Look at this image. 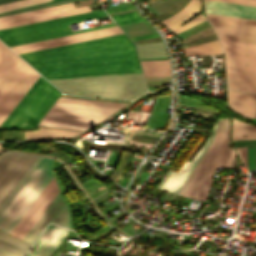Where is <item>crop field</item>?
<instances>
[{
  "instance_id": "35",
  "label": "crop field",
  "mask_w": 256,
  "mask_h": 256,
  "mask_svg": "<svg viewBox=\"0 0 256 256\" xmlns=\"http://www.w3.org/2000/svg\"><path fill=\"white\" fill-rule=\"evenodd\" d=\"M235 157H236V153H235L234 150H232V154H231V157H230L229 164H228L227 168L233 169L234 163H235Z\"/></svg>"
},
{
  "instance_id": "34",
  "label": "crop field",
  "mask_w": 256,
  "mask_h": 256,
  "mask_svg": "<svg viewBox=\"0 0 256 256\" xmlns=\"http://www.w3.org/2000/svg\"><path fill=\"white\" fill-rule=\"evenodd\" d=\"M214 1L256 6V0H214Z\"/></svg>"
},
{
  "instance_id": "36",
  "label": "crop field",
  "mask_w": 256,
  "mask_h": 256,
  "mask_svg": "<svg viewBox=\"0 0 256 256\" xmlns=\"http://www.w3.org/2000/svg\"><path fill=\"white\" fill-rule=\"evenodd\" d=\"M157 36H159V35L155 34V35H148V36H139V37H133V38H131V40L142 39V38H150V37H157Z\"/></svg>"
},
{
  "instance_id": "6",
  "label": "crop field",
  "mask_w": 256,
  "mask_h": 256,
  "mask_svg": "<svg viewBox=\"0 0 256 256\" xmlns=\"http://www.w3.org/2000/svg\"><path fill=\"white\" fill-rule=\"evenodd\" d=\"M59 94L58 90L40 76L1 128H33Z\"/></svg>"
},
{
  "instance_id": "30",
  "label": "crop field",
  "mask_w": 256,
  "mask_h": 256,
  "mask_svg": "<svg viewBox=\"0 0 256 256\" xmlns=\"http://www.w3.org/2000/svg\"><path fill=\"white\" fill-rule=\"evenodd\" d=\"M41 158H42L41 156L37 157V159L34 161V163L31 165V167L28 169V171L24 174V176L21 178V180L15 186V188L11 191V193L8 195V197L5 199V201L0 206V212L5 207V205L8 203V201L12 198V196L15 194V192L18 190V188L21 186V184L25 181V179L28 177V175L31 173V171L35 168V166L38 164V162L41 160Z\"/></svg>"
},
{
  "instance_id": "2",
  "label": "crop field",
  "mask_w": 256,
  "mask_h": 256,
  "mask_svg": "<svg viewBox=\"0 0 256 256\" xmlns=\"http://www.w3.org/2000/svg\"><path fill=\"white\" fill-rule=\"evenodd\" d=\"M66 94L132 99L146 91L141 73L48 80Z\"/></svg>"
},
{
  "instance_id": "19",
  "label": "crop field",
  "mask_w": 256,
  "mask_h": 256,
  "mask_svg": "<svg viewBox=\"0 0 256 256\" xmlns=\"http://www.w3.org/2000/svg\"><path fill=\"white\" fill-rule=\"evenodd\" d=\"M207 12L256 19V7L206 1Z\"/></svg>"
},
{
  "instance_id": "23",
  "label": "crop field",
  "mask_w": 256,
  "mask_h": 256,
  "mask_svg": "<svg viewBox=\"0 0 256 256\" xmlns=\"http://www.w3.org/2000/svg\"><path fill=\"white\" fill-rule=\"evenodd\" d=\"M79 133L81 132L40 127L39 130L25 131V139L36 138V137H71Z\"/></svg>"
},
{
  "instance_id": "22",
  "label": "crop field",
  "mask_w": 256,
  "mask_h": 256,
  "mask_svg": "<svg viewBox=\"0 0 256 256\" xmlns=\"http://www.w3.org/2000/svg\"><path fill=\"white\" fill-rule=\"evenodd\" d=\"M2 232V231H1ZM0 232V248L15 255L22 256L28 249V245Z\"/></svg>"
},
{
  "instance_id": "8",
  "label": "crop field",
  "mask_w": 256,
  "mask_h": 256,
  "mask_svg": "<svg viewBox=\"0 0 256 256\" xmlns=\"http://www.w3.org/2000/svg\"><path fill=\"white\" fill-rule=\"evenodd\" d=\"M221 43L225 52L228 88L256 93V45Z\"/></svg>"
},
{
  "instance_id": "31",
  "label": "crop field",
  "mask_w": 256,
  "mask_h": 256,
  "mask_svg": "<svg viewBox=\"0 0 256 256\" xmlns=\"http://www.w3.org/2000/svg\"><path fill=\"white\" fill-rule=\"evenodd\" d=\"M45 1H50V0H20V1L12 2L8 4H3V5H0V12L30 5V4L45 2Z\"/></svg>"
},
{
  "instance_id": "16",
  "label": "crop field",
  "mask_w": 256,
  "mask_h": 256,
  "mask_svg": "<svg viewBox=\"0 0 256 256\" xmlns=\"http://www.w3.org/2000/svg\"><path fill=\"white\" fill-rule=\"evenodd\" d=\"M188 4V3H187ZM201 8V0H191L187 6H185L181 11L177 12L169 19H165L166 21L162 22L166 25L172 32L178 34L204 20V16L201 14L191 21L187 22L183 26H181L186 20L190 17L196 15ZM181 26V27H180ZM180 27V28H178ZM178 28V29H177Z\"/></svg>"
},
{
  "instance_id": "33",
  "label": "crop field",
  "mask_w": 256,
  "mask_h": 256,
  "mask_svg": "<svg viewBox=\"0 0 256 256\" xmlns=\"http://www.w3.org/2000/svg\"><path fill=\"white\" fill-rule=\"evenodd\" d=\"M244 165L248 168L247 147L235 148Z\"/></svg>"
},
{
  "instance_id": "39",
  "label": "crop field",
  "mask_w": 256,
  "mask_h": 256,
  "mask_svg": "<svg viewBox=\"0 0 256 256\" xmlns=\"http://www.w3.org/2000/svg\"><path fill=\"white\" fill-rule=\"evenodd\" d=\"M19 133H20V137H21V139H24V138H23L22 131H19ZM19 133H18V131H17L18 140L20 139V137H19Z\"/></svg>"
},
{
  "instance_id": "20",
  "label": "crop field",
  "mask_w": 256,
  "mask_h": 256,
  "mask_svg": "<svg viewBox=\"0 0 256 256\" xmlns=\"http://www.w3.org/2000/svg\"><path fill=\"white\" fill-rule=\"evenodd\" d=\"M90 11H92L90 9V7L85 6V7H80V8H75V9L35 16V17H31V18L1 23L0 29L34 23V22H39V21H44V20H49V19H54V18H59V17H64V16H70V15H75V14H80V13H85V12H90Z\"/></svg>"
},
{
  "instance_id": "1",
  "label": "crop field",
  "mask_w": 256,
  "mask_h": 256,
  "mask_svg": "<svg viewBox=\"0 0 256 256\" xmlns=\"http://www.w3.org/2000/svg\"><path fill=\"white\" fill-rule=\"evenodd\" d=\"M20 56L46 79L141 72L135 46L124 33Z\"/></svg>"
},
{
  "instance_id": "10",
  "label": "crop field",
  "mask_w": 256,
  "mask_h": 256,
  "mask_svg": "<svg viewBox=\"0 0 256 256\" xmlns=\"http://www.w3.org/2000/svg\"><path fill=\"white\" fill-rule=\"evenodd\" d=\"M219 39L256 44V20L207 13Z\"/></svg>"
},
{
  "instance_id": "24",
  "label": "crop field",
  "mask_w": 256,
  "mask_h": 256,
  "mask_svg": "<svg viewBox=\"0 0 256 256\" xmlns=\"http://www.w3.org/2000/svg\"><path fill=\"white\" fill-rule=\"evenodd\" d=\"M183 51L185 56L222 53L218 41L185 47Z\"/></svg>"
},
{
  "instance_id": "15",
  "label": "crop field",
  "mask_w": 256,
  "mask_h": 256,
  "mask_svg": "<svg viewBox=\"0 0 256 256\" xmlns=\"http://www.w3.org/2000/svg\"><path fill=\"white\" fill-rule=\"evenodd\" d=\"M68 232L69 229L55 226L52 224L48 225L25 256H29V254L33 251L40 239L42 240L30 256H34L44 244L45 245L37 253L36 256H50L53 250L57 248V246L60 244V242L63 240Z\"/></svg>"
},
{
  "instance_id": "32",
  "label": "crop field",
  "mask_w": 256,
  "mask_h": 256,
  "mask_svg": "<svg viewBox=\"0 0 256 256\" xmlns=\"http://www.w3.org/2000/svg\"><path fill=\"white\" fill-rule=\"evenodd\" d=\"M216 134V133H215ZM215 134L213 136V139L212 141L210 142V144L207 146L204 154L202 155V157L200 158V160L198 161V163L196 164V166L194 167V169L192 170L191 174L189 175V177L187 178V180L185 181V183L183 184V186L181 187L180 191L178 192V194H183L185 192V190L187 189L190 181L192 180L198 166L200 165L201 161L203 160L205 154L207 153L208 149L211 147L212 143H213V140H214V137H215Z\"/></svg>"
},
{
  "instance_id": "17",
  "label": "crop field",
  "mask_w": 256,
  "mask_h": 256,
  "mask_svg": "<svg viewBox=\"0 0 256 256\" xmlns=\"http://www.w3.org/2000/svg\"><path fill=\"white\" fill-rule=\"evenodd\" d=\"M216 122H217V120H216ZM216 122H215V125L213 127L211 135L208 137L206 142L203 144V146L197 152V154L195 155L193 160L191 162L186 161V163L184 164V166L181 168V170L178 173L167 171L163 180L159 184V187H162V188L166 189V191H169V192H172V193H175V194L177 193V191L182 186V184L184 183V181L188 177L189 173L191 172V170L193 169V167L195 166V164L197 163V161L199 160V158L203 154L206 146L210 142V140L213 136L214 130H215Z\"/></svg>"
},
{
  "instance_id": "7",
  "label": "crop field",
  "mask_w": 256,
  "mask_h": 256,
  "mask_svg": "<svg viewBox=\"0 0 256 256\" xmlns=\"http://www.w3.org/2000/svg\"><path fill=\"white\" fill-rule=\"evenodd\" d=\"M229 119H219L216 129V137L214 143L202 162L200 168L195 174L191 184L184 193V197L198 199L204 201L209 191L213 174L216 166H227L229 156L231 153L230 148H227L229 140Z\"/></svg>"
},
{
  "instance_id": "3",
  "label": "crop field",
  "mask_w": 256,
  "mask_h": 256,
  "mask_svg": "<svg viewBox=\"0 0 256 256\" xmlns=\"http://www.w3.org/2000/svg\"><path fill=\"white\" fill-rule=\"evenodd\" d=\"M0 125L40 76L0 42Z\"/></svg>"
},
{
  "instance_id": "27",
  "label": "crop field",
  "mask_w": 256,
  "mask_h": 256,
  "mask_svg": "<svg viewBox=\"0 0 256 256\" xmlns=\"http://www.w3.org/2000/svg\"><path fill=\"white\" fill-rule=\"evenodd\" d=\"M73 7H74V5H73V3H71V4H66V5H61V6H56V7H51V8H46V9H41V10H36V11H31V12H26V13L11 15V16H6V17H1L0 22H5V21H10V20L30 17V16H34V15L59 11V10H63V9L73 8Z\"/></svg>"
},
{
  "instance_id": "14",
  "label": "crop field",
  "mask_w": 256,
  "mask_h": 256,
  "mask_svg": "<svg viewBox=\"0 0 256 256\" xmlns=\"http://www.w3.org/2000/svg\"><path fill=\"white\" fill-rule=\"evenodd\" d=\"M121 32L122 31L120 30V28L118 26H115V27L95 30V31H91V32H86V33H81V34L41 41V42H37V43L12 47L11 49L14 50L17 54H20V53L30 52V51H34V50L54 47V46L78 42V41H83V40H87V39L107 36V35L121 33Z\"/></svg>"
},
{
  "instance_id": "4",
  "label": "crop field",
  "mask_w": 256,
  "mask_h": 256,
  "mask_svg": "<svg viewBox=\"0 0 256 256\" xmlns=\"http://www.w3.org/2000/svg\"><path fill=\"white\" fill-rule=\"evenodd\" d=\"M106 15L107 14L103 10H100V11H95V12H90V13H85V14H80V15H75L70 17H64V18L19 26V27L3 29V30H0V39L9 47H12L17 45L37 42L41 40L115 26L116 24H113V25H108V26H103L98 28L72 32V33H69V30L66 26V24H69V23L79 22L84 19L106 16Z\"/></svg>"
},
{
  "instance_id": "21",
  "label": "crop field",
  "mask_w": 256,
  "mask_h": 256,
  "mask_svg": "<svg viewBox=\"0 0 256 256\" xmlns=\"http://www.w3.org/2000/svg\"><path fill=\"white\" fill-rule=\"evenodd\" d=\"M145 76H170L168 60L140 61Z\"/></svg>"
},
{
  "instance_id": "11",
  "label": "crop field",
  "mask_w": 256,
  "mask_h": 256,
  "mask_svg": "<svg viewBox=\"0 0 256 256\" xmlns=\"http://www.w3.org/2000/svg\"><path fill=\"white\" fill-rule=\"evenodd\" d=\"M37 156L8 152L0 156V204Z\"/></svg>"
},
{
  "instance_id": "26",
  "label": "crop field",
  "mask_w": 256,
  "mask_h": 256,
  "mask_svg": "<svg viewBox=\"0 0 256 256\" xmlns=\"http://www.w3.org/2000/svg\"><path fill=\"white\" fill-rule=\"evenodd\" d=\"M256 133V127L250 124L241 122L239 120L232 118V135H239V134H254ZM246 136V137H243ZM233 140H240V139H256V134L254 135H239V136H232Z\"/></svg>"
},
{
  "instance_id": "9",
  "label": "crop field",
  "mask_w": 256,
  "mask_h": 256,
  "mask_svg": "<svg viewBox=\"0 0 256 256\" xmlns=\"http://www.w3.org/2000/svg\"><path fill=\"white\" fill-rule=\"evenodd\" d=\"M118 109L55 102L38 125L86 130Z\"/></svg>"
},
{
  "instance_id": "37",
  "label": "crop field",
  "mask_w": 256,
  "mask_h": 256,
  "mask_svg": "<svg viewBox=\"0 0 256 256\" xmlns=\"http://www.w3.org/2000/svg\"><path fill=\"white\" fill-rule=\"evenodd\" d=\"M133 8H135V6L127 7V8H122V9H117V10H112V11H108L107 13L115 12V11H120V10H126V9H133Z\"/></svg>"
},
{
  "instance_id": "38",
  "label": "crop field",
  "mask_w": 256,
  "mask_h": 256,
  "mask_svg": "<svg viewBox=\"0 0 256 256\" xmlns=\"http://www.w3.org/2000/svg\"><path fill=\"white\" fill-rule=\"evenodd\" d=\"M0 256H13V255H11V254H9V253L0 249Z\"/></svg>"
},
{
  "instance_id": "41",
  "label": "crop field",
  "mask_w": 256,
  "mask_h": 256,
  "mask_svg": "<svg viewBox=\"0 0 256 256\" xmlns=\"http://www.w3.org/2000/svg\"><path fill=\"white\" fill-rule=\"evenodd\" d=\"M154 59H168V58H154ZM154 59H140V60H154Z\"/></svg>"
},
{
  "instance_id": "12",
  "label": "crop field",
  "mask_w": 256,
  "mask_h": 256,
  "mask_svg": "<svg viewBox=\"0 0 256 256\" xmlns=\"http://www.w3.org/2000/svg\"><path fill=\"white\" fill-rule=\"evenodd\" d=\"M48 221L72 229L70 208L60 192L34 224L23 241L32 244Z\"/></svg>"
},
{
  "instance_id": "28",
  "label": "crop field",
  "mask_w": 256,
  "mask_h": 256,
  "mask_svg": "<svg viewBox=\"0 0 256 256\" xmlns=\"http://www.w3.org/2000/svg\"><path fill=\"white\" fill-rule=\"evenodd\" d=\"M76 1H81V0H53V1H50V2L30 5V6L22 7V8H19V9L3 12V13H0V17L1 16H6V15H11V14H16V13H21V12H25V11H30V10H35V9H40V8H45V7L70 3V2H76Z\"/></svg>"
},
{
  "instance_id": "25",
  "label": "crop field",
  "mask_w": 256,
  "mask_h": 256,
  "mask_svg": "<svg viewBox=\"0 0 256 256\" xmlns=\"http://www.w3.org/2000/svg\"><path fill=\"white\" fill-rule=\"evenodd\" d=\"M137 50L140 58L168 57L162 42L137 45Z\"/></svg>"
},
{
  "instance_id": "29",
  "label": "crop field",
  "mask_w": 256,
  "mask_h": 256,
  "mask_svg": "<svg viewBox=\"0 0 256 256\" xmlns=\"http://www.w3.org/2000/svg\"><path fill=\"white\" fill-rule=\"evenodd\" d=\"M111 17L118 25L142 20H145L146 23L149 24V22L145 18H141L136 11L112 15Z\"/></svg>"
},
{
  "instance_id": "40",
  "label": "crop field",
  "mask_w": 256,
  "mask_h": 256,
  "mask_svg": "<svg viewBox=\"0 0 256 256\" xmlns=\"http://www.w3.org/2000/svg\"><path fill=\"white\" fill-rule=\"evenodd\" d=\"M254 160H255V168H256V147H255V151H254Z\"/></svg>"
},
{
  "instance_id": "18",
  "label": "crop field",
  "mask_w": 256,
  "mask_h": 256,
  "mask_svg": "<svg viewBox=\"0 0 256 256\" xmlns=\"http://www.w3.org/2000/svg\"><path fill=\"white\" fill-rule=\"evenodd\" d=\"M228 103L243 117L256 118V94L228 91Z\"/></svg>"
},
{
  "instance_id": "5",
  "label": "crop field",
  "mask_w": 256,
  "mask_h": 256,
  "mask_svg": "<svg viewBox=\"0 0 256 256\" xmlns=\"http://www.w3.org/2000/svg\"><path fill=\"white\" fill-rule=\"evenodd\" d=\"M52 159L43 157L0 214V230L10 233L29 206L53 177Z\"/></svg>"
},
{
  "instance_id": "13",
  "label": "crop field",
  "mask_w": 256,
  "mask_h": 256,
  "mask_svg": "<svg viewBox=\"0 0 256 256\" xmlns=\"http://www.w3.org/2000/svg\"><path fill=\"white\" fill-rule=\"evenodd\" d=\"M58 191L54 178H52L32 206L11 231L10 235L22 240Z\"/></svg>"
}]
</instances>
